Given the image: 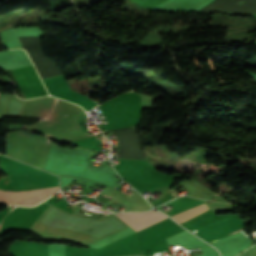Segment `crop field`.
I'll return each mask as SVG.
<instances>
[{"label":"crop field","instance_id":"crop-field-1","mask_svg":"<svg viewBox=\"0 0 256 256\" xmlns=\"http://www.w3.org/2000/svg\"><path fill=\"white\" fill-rule=\"evenodd\" d=\"M57 191L58 187L30 191L0 190V203L33 206Z\"/></svg>","mask_w":256,"mask_h":256},{"label":"crop field","instance_id":"crop-field-2","mask_svg":"<svg viewBox=\"0 0 256 256\" xmlns=\"http://www.w3.org/2000/svg\"><path fill=\"white\" fill-rule=\"evenodd\" d=\"M115 214L136 231L167 218L157 211Z\"/></svg>","mask_w":256,"mask_h":256},{"label":"crop field","instance_id":"crop-field-3","mask_svg":"<svg viewBox=\"0 0 256 256\" xmlns=\"http://www.w3.org/2000/svg\"><path fill=\"white\" fill-rule=\"evenodd\" d=\"M209 210L205 203L178 213L176 215L171 216L174 220H176L179 224Z\"/></svg>","mask_w":256,"mask_h":256},{"label":"crop field","instance_id":"crop-field-4","mask_svg":"<svg viewBox=\"0 0 256 256\" xmlns=\"http://www.w3.org/2000/svg\"><path fill=\"white\" fill-rule=\"evenodd\" d=\"M242 229H240V230H238V231H241ZM238 231H235V232H233V233H236V232H238ZM233 233H231V234H233ZM230 235V234H229Z\"/></svg>","mask_w":256,"mask_h":256},{"label":"crop field","instance_id":"crop-field-5","mask_svg":"<svg viewBox=\"0 0 256 256\" xmlns=\"http://www.w3.org/2000/svg\"><path fill=\"white\" fill-rule=\"evenodd\" d=\"M107 122L105 121V122H103V124H106Z\"/></svg>","mask_w":256,"mask_h":256}]
</instances>
